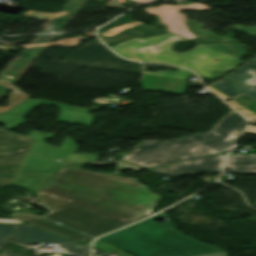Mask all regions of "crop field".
Masks as SVG:
<instances>
[{
	"label": "crop field",
	"mask_w": 256,
	"mask_h": 256,
	"mask_svg": "<svg viewBox=\"0 0 256 256\" xmlns=\"http://www.w3.org/2000/svg\"><path fill=\"white\" fill-rule=\"evenodd\" d=\"M40 216L92 237L151 214L157 196L137 179L60 167L35 193Z\"/></svg>",
	"instance_id": "1"
},
{
	"label": "crop field",
	"mask_w": 256,
	"mask_h": 256,
	"mask_svg": "<svg viewBox=\"0 0 256 256\" xmlns=\"http://www.w3.org/2000/svg\"><path fill=\"white\" fill-rule=\"evenodd\" d=\"M143 73L158 75V76H166V77L184 78V79H188L189 76H195L190 71L181 69V68L178 69V72L158 71L156 73H148V72H143Z\"/></svg>",
	"instance_id": "21"
},
{
	"label": "crop field",
	"mask_w": 256,
	"mask_h": 256,
	"mask_svg": "<svg viewBox=\"0 0 256 256\" xmlns=\"http://www.w3.org/2000/svg\"><path fill=\"white\" fill-rule=\"evenodd\" d=\"M179 9H208V7L199 3H193L187 6H159L158 8H144L149 14L158 15L160 24H166L169 32L183 36L187 39L195 37L187 32L183 23L185 22L184 15L177 12Z\"/></svg>",
	"instance_id": "9"
},
{
	"label": "crop field",
	"mask_w": 256,
	"mask_h": 256,
	"mask_svg": "<svg viewBox=\"0 0 256 256\" xmlns=\"http://www.w3.org/2000/svg\"><path fill=\"white\" fill-rule=\"evenodd\" d=\"M242 121L244 120L237 113L232 111L227 114L223 119H221L219 123L215 126V129L210 132L235 141L238 136L230 133L233 132L234 127Z\"/></svg>",
	"instance_id": "13"
},
{
	"label": "crop field",
	"mask_w": 256,
	"mask_h": 256,
	"mask_svg": "<svg viewBox=\"0 0 256 256\" xmlns=\"http://www.w3.org/2000/svg\"><path fill=\"white\" fill-rule=\"evenodd\" d=\"M191 137L220 153L228 151L233 143L232 141L213 135L211 133L195 134Z\"/></svg>",
	"instance_id": "15"
},
{
	"label": "crop field",
	"mask_w": 256,
	"mask_h": 256,
	"mask_svg": "<svg viewBox=\"0 0 256 256\" xmlns=\"http://www.w3.org/2000/svg\"><path fill=\"white\" fill-rule=\"evenodd\" d=\"M134 1H136V2H138V3H142V2L152 1V0H134Z\"/></svg>",
	"instance_id": "31"
},
{
	"label": "crop field",
	"mask_w": 256,
	"mask_h": 256,
	"mask_svg": "<svg viewBox=\"0 0 256 256\" xmlns=\"http://www.w3.org/2000/svg\"><path fill=\"white\" fill-rule=\"evenodd\" d=\"M54 44H60L63 46H73V45H79V40L77 38H67V39H60L54 43H48V44H28V45H20L19 48H29L34 46H43V45H54Z\"/></svg>",
	"instance_id": "22"
},
{
	"label": "crop field",
	"mask_w": 256,
	"mask_h": 256,
	"mask_svg": "<svg viewBox=\"0 0 256 256\" xmlns=\"http://www.w3.org/2000/svg\"><path fill=\"white\" fill-rule=\"evenodd\" d=\"M179 56L181 65L190 67L200 76L209 79L219 77L242 63L238 59L201 45H197L194 50L179 54ZM215 59L219 61L216 62Z\"/></svg>",
	"instance_id": "6"
},
{
	"label": "crop field",
	"mask_w": 256,
	"mask_h": 256,
	"mask_svg": "<svg viewBox=\"0 0 256 256\" xmlns=\"http://www.w3.org/2000/svg\"><path fill=\"white\" fill-rule=\"evenodd\" d=\"M226 166L231 172L256 174V154H229Z\"/></svg>",
	"instance_id": "12"
},
{
	"label": "crop field",
	"mask_w": 256,
	"mask_h": 256,
	"mask_svg": "<svg viewBox=\"0 0 256 256\" xmlns=\"http://www.w3.org/2000/svg\"><path fill=\"white\" fill-rule=\"evenodd\" d=\"M234 27L243 31V32H246V33H249V34H252V35L256 36V27H243L239 24L235 25Z\"/></svg>",
	"instance_id": "25"
},
{
	"label": "crop field",
	"mask_w": 256,
	"mask_h": 256,
	"mask_svg": "<svg viewBox=\"0 0 256 256\" xmlns=\"http://www.w3.org/2000/svg\"><path fill=\"white\" fill-rule=\"evenodd\" d=\"M203 45L214 50L220 51L222 53L228 54L230 56L236 57L238 59L247 56V53L244 51V49L237 43ZM235 53H237V55Z\"/></svg>",
	"instance_id": "17"
},
{
	"label": "crop field",
	"mask_w": 256,
	"mask_h": 256,
	"mask_svg": "<svg viewBox=\"0 0 256 256\" xmlns=\"http://www.w3.org/2000/svg\"><path fill=\"white\" fill-rule=\"evenodd\" d=\"M66 13H68V12L63 11V12L56 13V14H44V13H39V12H34V11H28L25 13V15H28V16H31V17H34L37 19H51V18L58 17L60 15L66 14Z\"/></svg>",
	"instance_id": "23"
},
{
	"label": "crop field",
	"mask_w": 256,
	"mask_h": 256,
	"mask_svg": "<svg viewBox=\"0 0 256 256\" xmlns=\"http://www.w3.org/2000/svg\"><path fill=\"white\" fill-rule=\"evenodd\" d=\"M9 215L14 217V218L25 221V222H27L31 225L37 226L39 228H42V229H45L47 231H50V232H53L55 234L66 237L68 239L74 240L78 243L91 238V237L86 236L84 234L78 233V232L73 231L71 229H68L66 227L60 226L58 224H55L53 222L41 219L39 217L30 215V214H22V213L16 212V213L9 214Z\"/></svg>",
	"instance_id": "10"
},
{
	"label": "crop field",
	"mask_w": 256,
	"mask_h": 256,
	"mask_svg": "<svg viewBox=\"0 0 256 256\" xmlns=\"http://www.w3.org/2000/svg\"><path fill=\"white\" fill-rule=\"evenodd\" d=\"M139 24H142L140 22H131V23H127V24H124V25H121V26H117V27H114V28H111L101 34L103 35H108V36H112L116 33H118L119 31L123 30V29H126V28H130V27H133V26H136V25H139Z\"/></svg>",
	"instance_id": "24"
},
{
	"label": "crop field",
	"mask_w": 256,
	"mask_h": 256,
	"mask_svg": "<svg viewBox=\"0 0 256 256\" xmlns=\"http://www.w3.org/2000/svg\"><path fill=\"white\" fill-rule=\"evenodd\" d=\"M229 76L242 95L256 100V58Z\"/></svg>",
	"instance_id": "11"
},
{
	"label": "crop field",
	"mask_w": 256,
	"mask_h": 256,
	"mask_svg": "<svg viewBox=\"0 0 256 256\" xmlns=\"http://www.w3.org/2000/svg\"><path fill=\"white\" fill-rule=\"evenodd\" d=\"M0 222H9V223H22V221H15V220H10V219H0Z\"/></svg>",
	"instance_id": "29"
},
{
	"label": "crop field",
	"mask_w": 256,
	"mask_h": 256,
	"mask_svg": "<svg viewBox=\"0 0 256 256\" xmlns=\"http://www.w3.org/2000/svg\"><path fill=\"white\" fill-rule=\"evenodd\" d=\"M52 173L16 174L12 184L38 191Z\"/></svg>",
	"instance_id": "14"
},
{
	"label": "crop field",
	"mask_w": 256,
	"mask_h": 256,
	"mask_svg": "<svg viewBox=\"0 0 256 256\" xmlns=\"http://www.w3.org/2000/svg\"><path fill=\"white\" fill-rule=\"evenodd\" d=\"M177 40L186 39L167 33L157 37L130 39L112 48L127 58L180 65L178 54L170 51L172 43Z\"/></svg>",
	"instance_id": "4"
},
{
	"label": "crop field",
	"mask_w": 256,
	"mask_h": 256,
	"mask_svg": "<svg viewBox=\"0 0 256 256\" xmlns=\"http://www.w3.org/2000/svg\"><path fill=\"white\" fill-rule=\"evenodd\" d=\"M55 135L32 130L28 136L35 140L18 172H54L71 153L76 152L78 146L74 145L73 140L68 137L60 148L44 143L47 137H54ZM56 159L62 161H55Z\"/></svg>",
	"instance_id": "5"
},
{
	"label": "crop field",
	"mask_w": 256,
	"mask_h": 256,
	"mask_svg": "<svg viewBox=\"0 0 256 256\" xmlns=\"http://www.w3.org/2000/svg\"><path fill=\"white\" fill-rule=\"evenodd\" d=\"M0 85L13 90V92L8 95L9 96L8 106L7 107H0V112H4V111L8 110L9 108L23 102L24 100H26L30 97V96L22 93L20 90H18L12 84H10L7 80L0 79Z\"/></svg>",
	"instance_id": "16"
},
{
	"label": "crop field",
	"mask_w": 256,
	"mask_h": 256,
	"mask_svg": "<svg viewBox=\"0 0 256 256\" xmlns=\"http://www.w3.org/2000/svg\"><path fill=\"white\" fill-rule=\"evenodd\" d=\"M215 153L218 152L190 137H185L168 142L144 140L122 158L141 168H148L165 166L178 160L195 159ZM218 154L150 170L165 176L220 172L226 155Z\"/></svg>",
	"instance_id": "2"
},
{
	"label": "crop field",
	"mask_w": 256,
	"mask_h": 256,
	"mask_svg": "<svg viewBox=\"0 0 256 256\" xmlns=\"http://www.w3.org/2000/svg\"><path fill=\"white\" fill-rule=\"evenodd\" d=\"M200 256H226V252L206 254V255H200Z\"/></svg>",
	"instance_id": "28"
},
{
	"label": "crop field",
	"mask_w": 256,
	"mask_h": 256,
	"mask_svg": "<svg viewBox=\"0 0 256 256\" xmlns=\"http://www.w3.org/2000/svg\"><path fill=\"white\" fill-rule=\"evenodd\" d=\"M88 164L90 165H104V164H117V167H116V171H115V174H119L120 170L125 168V167H128L134 171H140L142 169L140 168H137V167H134L132 165H129V164H126L124 162H121V161H110V162H87ZM85 164V163H71V162H63V166H68V167H73V168H78L80 169L81 166Z\"/></svg>",
	"instance_id": "18"
},
{
	"label": "crop field",
	"mask_w": 256,
	"mask_h": 256,
	"mask_svg": "<svg viewBox=\"0 0 256 256\" xmlns=\"http://www.w3.org/2000/svg\"><path fill=\"white\" fill-rule=\"evenodd\" d=\"M33 140L23 135H11L0 131V174L18 170Z\"/></svg>",
	"instance_id": "7"
},
{
	"label": "crop field",
	"mask_w": 256,
	"mask_h": 256,
	"mask_svg": "<svg viewBox=\"0 0 256 256\" xmlns=\"http://www.w3.org/2000/svg\"><path fill=\"white\" fill-rule=\"evenodd\" d=\"M245 125H246V123H245V121H244V122H242L241 124H239L238 126H236V127H235V132H234L233 134L240 135L241 132L244 130Z\"/></svg>",
	"instance_id": "27"
},
{
	"label": "crop field",
	"mask_w": 256,
	"mask_h": 256,
	"mask_svg": "<svg viewBox=\"0 0 256 256\" xmlns=\"http://www.w3.org/2000/svg\"><path fill=\"white\" fill-rule=\"evenodd\" d=\"M142 186H143V185H142ZM143 187H145V186H143ZM145 188L148 190L147 187H145ZM148 191H149V190H148ZM159 198H160V196H158L157 200H158ZM157 200H156V201H157ZM156 201H155V202H156ZM155 202H154V204H155ZM154 204H153V205H154ZM153 205L151 206V210H152V208H153Z\"/></svg>",
	"instance_id": "32"
},
{
	"label": "crop field",
	"mask_w": 256,
	"mask_h": 256,
	"mask_svg": "<svg viewBox=\"0 0 256 256\" xmlns=\"http://www.w3.org/2000/svg\"><path fill=\"white\" fill-rule=\"evenodd\" d=\"M14 174L0 175V185H9Z\"/></svg>",
	"instance_id": "26"
},
{
	"label": "crop field",
	"mask_w": 256,
	"mask_h": 256,
	"mask_svg": "<svg viewBox=\"0 0 256 256\" xmlns=\"http://www.w3.org/2000/svg\"><path fill=\"white\" fill-rule=\"evenodd\" d=\"M209 86L213 87L214 89L218 90L219 92L230 98L237 95V92L227 75L222 78L221 82H216Z\"/></svg>",
	"instance_id": "19"
},
{
	"label": "crop field",
	"mask_w": 256,
	"mask_h": 256,
	"mask_svg": "<svg viewBox=\"0 0 256 256\" xmlns=\"http://www.w3.org/2000/svg\"><path fill=\"white\" fill-rule=\"evenodd\" d=\"M17 225L0 224V248H3L7 239L10 237L12 232L15 230ZM1 256H23L11 252L4 251Z\"/></svg>",
	"instance_id": "20"
},
{
	"label": "crop field",
	"mask_w": 256,
	"mask_h": 256,
	"mask_svg": "<svg viewBox=\"0 0 256 256\" xmlns=\"http://www.w3.org/2000/svg\"><path fill=\"white\" fill-rule=\"evenodd\" d=\"M161 217L165 215L158 214L100 239L136 256H193L222 251L183 235L170 222H153Z\"/></svg>",
	"instance_id": "3"
},
{
	"label": "crop field",
	"mask_w": 256,
	"mask_h": 256,
	"mask_svg": "<svg viewBox=\"0 0 256 256\" xmlns=\"http://www.w3.org/2000/svg\"><path fill=\"white\" fill-rule=\"evenodd\" d=\"M207 88H208L210 91H212V92L218 94L219 96H221V97L224 98V99L228 98V97L224 96L223 94L219 93L218 91L214 90L213 88H211V87H209V86H207Z\"/></svg>",
	"instance_id": "30"
},
{
	"label": "crop field",
	"mask_w": 256,
	"mask_h": 256,
	"mask_svg": "<svg viewBox=\"0 0 256 256\" xmlns=\"http://www.w3.org/2000/svg\"><path fill=\"white\" fill-rule=\"evenodd\" d=\"M11 238L24 243L51 242L60 245L65 250L80 256H87L89 248L43 232L30 226L18 225Z\"/></svg>",
	"instance_id": "8"
}]
</instances>
